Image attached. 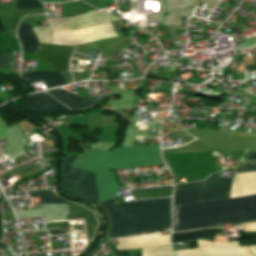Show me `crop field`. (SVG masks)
<instances>
[{
    "instance_id": "18",
    "label": "crop field",
    "mask_w": 256,
    "mask_h": 256,
    "mask_svg": "<svg viewBox=\"0 0 256 256\" xmlns=\"http://www.w3.org/2000/svg\"><path fill=\"white\" fill-rule=\"evenodd\" d=\"M44 7L38 0H16L15 10L35 9Z\"/></svg>"
},
{
    "instance_id": "10",
    "label": "crop field",
    "mask_w": 256,
    "mask_h": 256,
    "mask_svg": "<svg viewBox=\"0 0 256 256\" xmlns=\"http://www.w3.org/2000/svg\"><path fill=\"white\" fill-rule=\"evenodd\" d=\"M23 106L26 110L38 114L69 110L64 105L55 101L51 96L44 93H38L28 97Z\"/></svg>"
},
{
    "instance_id": "1",
    "label": "crop field",
    "mask_w": 256,
    "mask_h": 256,
    "mask_svg": "<svg viewBox=\"0 0 256 256\" xmlns=\"http://www.w3.org/2000/svg\"><path fill=\"white\" fill-rule=\"evenodd\" d=\"M201 190L174 192L173 231L256 221V194L198 202Z\"/></svg>"
},
{
    "instance_id": "23",
    "label": "crop field",
    "mask_w": 256,
    "mask_h": 256,
    "mask_svg": "<svg viewBox=\"0 0 256 256\" xmlns=\"http://www.w3.org/2000/svg\"><path fill=\"white\" fill-rule=\"evenodd\" d=\"M244 230L256 231V222L246 224Z\"/></svg>"
},
{
    "instance_id": "17",
    "label": "crop field",
    "mask_w": 256,
    "mask_h": 256,
    "mask_svg": "<svg viewBox=\"0 0 256 256\" xmlns=\"http://www.w3.org/2000/svg\"><path fill=\"white\" fill-rule=\"evenodd\" d=\"M32 29L40 43L50 44L51 30L49 27H35Z\"/></svg>"
},
{
    "instance_id": "16",
    "label": "crop field",
    "mask_w": 256,
    "mask_h": 256,
    "mask_svg": "<svg viewBox=\"0 0 256 256\" xmlns=\"http://www.w3.org/2000/svg\"><path fill=\"white\" fill-rule=\"evenodd\" d=\"M142 256H176L170 246L141 249Z\"/></svg>"
},
{
    "instance_id": "13",
    "label": "crop field",
    "mask_w": 256,
    "mask_h": 256,
    "mask_svg": "<svg viewBox=\"0 0 256 256\" xmlns=\"http://www.w3.org/2000/svg\"><path fill=\"white\" fill-rule=\"evenodd\" d=\"M17 37L23 51L33 53L39 44L36 37L32 33L31 26L25 24L22 21L20 22L17 29Z\"/></svg>"
},
{
    "instance_id": "7",
    "label": "crop field",
    "mask_w": 256,
    "mask_h": 256,
    "mask_svg": "<svg viewBox=\"0 0 256 256\" xmlns=\"http://www.w3.org/2000/svg\"><path fill=\"white\" fill-rule=\"evenodd\" d=\"M73 48L40 44L34 54L40 61L46 62L53 71L63 75V71H70L68 59Z\"/></svg>"
},
{
    "instance_id": "20",
    "label": "crop field",
    "mask_w": 256,
    "mask_h": 256,
    "mask_svg": "<svg viewBox=\"0 0 256 256\" xmlns=\"http://www.w3.org/2000/svg\"><path fill=\"white\" fill-rule=\"evenodd\" d=\"M236 172H243V171H256V164H245L242 166L234 167Z\"/></svg>"
},
{
    "instance_id": "2",
    "label": "crop field",
    "mask_w": 256,
    "mask_h": 256,
    "mask_svg": "<svg viewBox=\"0 0 256 256\" xmlns=\"http://www.w3.org/2000/svg\"><path fill=\"white\" fill-rule=\"evenodd\" d=\"M158 145L143 147H126L111 152L98 150H84L71 166L95 173L99 203L114 198L118 185L114 175L107 167L113 170L160 165Z\"/></svg>"
},
{
    "instance_id": "8",
    "label": "crop field",
    "mask_w": 256,
    "mask_h": 256,
    "mask_svg": "<svg viewBox=\"0 0 256 256\" xmlns=\"http://www.w3.org/2000/svg\"><path fill=\"white\" fill-rule=\"evenodd\" d=\"M108 15V14H107ZM101 12L76 15L72 18L48 19L52 31L70 28H83L118 18L107 16Z\"/></svg>"
},
{
    "instance_id": "24",
    "label": "crop field",
    "mask_w": 256,
    "mask_h": 256,
    "mask_svg": "<svg viewBox=\"0 0 256 256\" xmlns=\"http://www.w3.org/2000/svg\"><path fill=\"white\" fill-rule=\"evenodd\" d=\"M244 69L246 72H253L256 71V64L244 66Z\"/></svg>"
},
{
    "instance_id": "3",
    "label": "crop field",
    "mask_w": 256,
    "mask_h": 256,
    "mask_svg": "<svg viewBox=\"0 0 256 256\" xmlns=\"http://www.w3.org/2000/svg\"><path fill=\"white\" fill-rule=\"evenodd\" d=\"M100 205L110 218L109 239L171 226V198L115 203V198Z\"/></svg>"
},
{
    "instance_id": "22",
    "label": "crop field",
    "mask_w": 256,
    "mask_h": 256,
    "mask_svg": "<svg viewBox=\"0 0 256 256\" xmlns=\"http://www.w3.org/2000/svg\"><path fill=\"white\" fill-rule=\"evenodd\" d=\"M229 135L256 137V134L230 132Z\"/></svg>"
},
{
    "instance_id": "5",
    "label": "crop field",
    "mask_w": 256,
    "mask_h": 256,
    "mask_svg": "<svg viewBox=\"0 0 256 256\" xmlns=\"http://www.w3.org/2000/svg\"><path fill=\"white\" fill-rule=\"evenodd\" d=\"M198 248L178 250L179 256H252L246 246L237 241L228 243L197 240Z\"/></svg>"
},
{
    "instance_id": "26",
    "label": "crop field",
    "mask_w": 256,
    "mask_h": 256,
    "mask_svg": "<svg viewBox=\"0 0 256 256\" xmlns=\"http://www.w3.org/2000/svg\"><path fill=\"white\" fill-rule=\"evenodd\" d=\"M250 251L253 253L254 256H256V246H247Z\"/></svg>"
},
{
    "instance_id": "14",
    "label": "crop field",
    "mask_w": 256,
    "mask_h": 256,
    "mask_svg": "<svg viewBox=\"0 0 256 256\" xmlns=\"http://www.w3.org/2000/svg\"><path fill=\"white\" fill-rule=\"evenodd\" d=\"M216 228L190 231L185 233H173L171 237V242L193 240V239H203L212 240L215 238Z\"/></svg>"
},
{
    "instance_id": "27",
    "label": "crop field",
    "mask_w": 256,
    "mask_h": 256,
    "mask_svg": "<svg viewBox=\"0 0 256 256\" xmlns=\"http://www.w3.org/2000/svg\"><path fill=\"white\" fill-rule=\"evenodd\" d=\"M44 2H63L62 0H43Z\"/></svg>"
},
{
    "instance_id": "4",
    "label": "crop field",
    "mask_w": 256,
    "mask_h": 256,
    "mask_svg": "<svg viewBox=\"0 0 256 256\" xmlns=\"http://www.w3.org/2000/svg\"><path fill=\"white\" fill-rule=\"evenodd\" d=\"M78 155L74 154L64 160L62 165L63 185L67 191L78 196L94 199L98 203L94 174L69 167Z\"/></svg>"
},
{
    "instance_id": "25",
    "label": "crop field",
    "mask_w": 256,
    "mask_h": 256,
    "mask_svg": "<svg viewBox=\"0 0 256 256\" xmlns=\"http://www.w3.org/2000/svg\"><path fill=\"white\" fill-rule=\"evenodd\" d=\"M165 189H172V187L153 188V189H142V190H132V191H133V192H139V191H152V190H165Z\"/></svg>"
},
{
    "instance_id": "15",
    "label": "crop field",
    "mask_w": 256,
    "mask_h": 256,
    "mask_svg": "<svg viewBox=\"0 0 256 256\" xmlns=\"http://www.w3.org/2000/svg\"><path fill=\"white\" fill-rule=\"evenodd\" d=\"M30 197H38L39 204L69 203L58 198L52 190L30 191Z\"/></svg>"
},
{
    "instance_id": "11",
    "label": "crop field",
    "mask_w": 256,
    "mask_h": 256,
    "mask_svg": "<svg viewBox=\"0 0 256 256\" xmlns=\"http://www.w3.org/2000/svg\"><path fill=\"white\" fill-rule=\"evenodd\" d=\"M55 99L70 107L71 110H84L97 105V102L74 96L64 90L57 89L47 92ZM68 107V108H69Z\"/></svg>"
},
{
    "instance_id": "19",
    "label": "crop field",
    "mask_w": 256,
    "mask_h": 256,
    "mask_svg": "<svg viewBox=\"0 0 256 256\" xmlns=\"http://www.w3.org/2000/svg\"><path fill=\"white\" fill-rule=\"evenodd\" d=\"M240 160L243 161L244 163L256 162V151L246 149L243 155L241 156Z\"/></svg>"
},
{
    "instance_id": "6",
    "label": "crop field",
    "mask_w": 256,
    "mask_h": 256,
    "mask_svg": "<svg viewBox=\"0 0 256 256\" xmlns=\"http://www.w3.org/2000/svg\"><path fill=\"white\" fill-rule=\"evenodd\" d=\"M231 178L220 179L217 175H210L202 182L176 185L174 191L203 188L199 201L224 199L228 197Z\"/></svg>"
},
{
    "instance_id": "9",
    "label": "crop field",
    "mask_w": 256,
    "mask_h": 256,
    "mask_svg": "<svg viewBox=\"0 0 256 256\" xmlns=\"http://www.w3.org/2000/svg\"><path fill=\"white\" fill-rule=\"evenodd\" d=\"M116 240L118 243L115 245L117 250L169 245V235L161 236L160 232Z\"/></svg>"
},
{
    "instance_id": "12",
    "label": "crop field",
    "mask_w": 256,
    "mask_h": 256,
    "mask_svg": "<svg viewBox=\"0 0 256 256\" xmlns=\"http://www.w3.org/2000/svg\"><path fill=\"white\" fill-rule=\"evenodd\" d=\"M21 78L27 81L28 83L43 80L46 88L57 87V86L66 84L64 77L53 71L32 72V73L22 74Z\"/></svg>"
},
{
    "instance_id": "21",
    "label": "crop field",
    "mask_w": 256,
    "mask_h": 256,
    "mask_svg": "<svg viewBox=\"0 0 256 256\" xmlns=\"http://www.w3.org/2000/svg\"><path fill=\"white\" fill-rule=\"evenodd\" d=\"M9 54L0 56V69L8 68Z\"/></svg>"
}]
</instances>
